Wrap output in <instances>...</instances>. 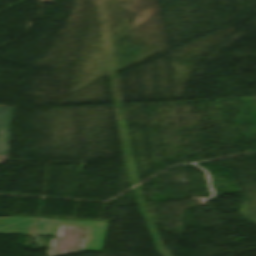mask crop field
Segmentation results:
<instances>
[{
  "label": "crop field",
  "mask_w": 256,
  "mask_h": 256,
  "mask_svg": "<svg viewBox=\"0 0 256 256\" xmlns=\"http://www.w3.org/2000/svg\"><path fill=\"white\" fill-rule=\"evenodd\" d=\"M37 218L31 217H0V234L31 235Z\"/></svg>",
  "instance_id": "crop-field-2"
},
{
  "label": "crop field",
  "mask_w": 256,
  "mask_h": 256,
  "mask_svg": "<svg viewBox=\"0 0 256 256\" xmlns=\"http://www.w3.org/2000/svg\"><path fill=\"white\" fill-rule=\"evenodd\" d=\"M7 161V155H0V162Z\"/></svg>",
  "instance_id": "crop-field-4"
},
{
  "label": "crop field",
  "mask_w": 256,
  "mask_h": 256,
  "mask_svg": "<svg viewBox=\"0 0 256 256\" xmlns=\"http://www.w3.org/2000/svg\"><path fill=\"white\" fill-rule=\"evenodd\" d=\"M108 222L39 218L34 234L56 235L59 226L88 227L82 251H100Z\"/></svg>",
  "instance_id": "crop-field-1"
},
{
  "label": "crop field",
  "mask_w": 256,
  "mask_h": 256,
  "mask_svg": "<svg viewBox=\"0 0 256 256\" xmlns=\"http://www.w3.org/2000/svg\"><path fill=\"white\" fill-rule=\"evenodd\" d=\"M15 108L0 107V154H7L10 125Z\"/></svg>",
  "instance_id": "crop-field-3"
}]
</instances>
